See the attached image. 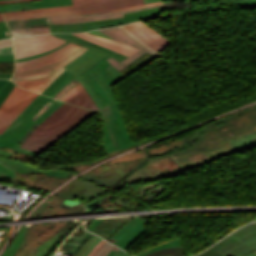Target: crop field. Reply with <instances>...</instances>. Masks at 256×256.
I'll use <instances>...</instances> for the list:
<instances>
[{
  "instance_id": "1",
  "label": "crop field",
  "mask_w": 256,
  "mask_h": 256,
  "mask_svg": "<svg viewBox=\"0 0 256 256\" xmlns=\"http://www.w3.org/2000/svg\"><path fill=\"white\" fill-rule=\"evenodd\" d=\"M87 48L69 43L61 49L34 60L16 62V72L13 78L35 79L50 76L46 79L19 81L17 85L41 93L65 69L69 62L79 57Z\"/></svg>"
},
{
  "instance_id": "2",
  "label": "crop field",
  "mask_w": 256,
  "mask_h": 256,
  "mask_svg": "<svg viewBox=\"0 0 256 256\" xmlns=\"http://www.w3.org/2000/svg\"><path fill=\"white\" fill-rule=\"evenodd\" d=\"M93 113L64 103L35 129L21 147L41 152Z\"/></svg>"
},
{
  "instance_id": "3",
  "label": "crop field",
  "mask_w": 256,
  "mask_h": 256,
  "mask_svg": "<svg viewBox=\"0 0 256 256\" xmlns=\"http://www.w3.org/2000/svg\"><path fill=\"white\" fill-rule=\"evenodd\" d=\"M198 256H256V224H250L231 234Z\"/></svg>"
},
{
  "instance_id": "4",
  "label": "crop field",
  "mask_w": 256,
  "mask_h": 256,
  "mask_svg": "<svg viewBox=\"0 0 256 256\" xmlns=\"http://www.w3.org/2000/svg\"><path fill=\"white\" fill-rule=\"evenodd\" d=\"M72 1L74 5H71V6L34 9V10H27V11L3 13V14L32 13V12L67 10V9H75L77 14H82V13H93V12L117 11V10L144 7L149 5L163 4L162 2H158V3L144 5L143 0H72Z\"/></svg>"
},
{
  "instance_id": "5",
  "label": "crop field",
  "mask_w": 256,
  "mask_h": 256,
  "mask_svg": "<svg viewBox=\"0 0 256 256\" xmlns=\"http://www.w3.org/2000/svg\"><path fill=\"white\" fill-rule=\"evenodd\" d=\"M108 56L102 58L100 61L92 65L90 68H88L85 72H83L81 75L77 77V79L81 77H85L87 82L90 84V86L93 88L95 93L98 95V97L101 99V101L105 104L110 102V99L108 98L107 94L104 92V90L101 88V86L98 84V82L95 80V78L91 75L89 72L93 68L97 67L99 71L102 73V75L105 77V79L108 81L109 84L113 85L114 83L124 79L126 76L119 73L118 70L113 68L109 62L106 60ZM74 77L72 74L66 75L64 78H62L47 94V96L53 97L56 93H58L67 83H69Z\"/></svg>"
},
{
  "instance_id": "6",
  "label": "crop field",
  "mask_w": 256,
  "mask_h": 256,
  "mask_svg": "<svg viewBox=\"0 0 256 256\" xmlns=\"http://www.w3.org/2000/svg\"><path fill=\"white\" fill-rule=\"evenodd\" d=\"M163 7L146 9L131 13H126L125 18L105 20L97 22L88 23H77V24H64V25H50L51 33H61V32H82L88 30H94L105 27H113L123 25L128 22L137 21L145 18L159 16Z\"/></svg>"
},
{
  "instance_id": "7",
  "label": "crop field",
  "mask_w": 256,
  "mask_h": 256,
  "mask_svg": "<svg viewBox=\"0 0 256 256\" xmlns=\"http://www.w3.org/2000/svg\"><path fill=\"white\" fill-rule=\"evenodd\" d=\"M36 95L37 93L15 86L0 106V135Z\"/></svg>"
},
{
  "instance_id": "8",
  "label": "crop field",
  "mask_w": 256,
  "mask_h": 256,
  "mask_svg": "<svg viewBox=\"0 0 256 256\" xmlns=\"http://www.w3.org/2000/svg\"><path fill=\"white\" fill-rule=\"evenodd\" d=\"M179 171L182 170L172 158L158 162H150L147 160L139 168L127 176L122 182H120L116 188L135 182L162 177L164 175ZM159 172H161V174H159Z\"/></svg>"
},
{
  "instance_id": "9",
  "label": "crop field",
  "mask_w": 256,
  "mask_h": 256,
  "mask_svg": "<svg viewBox=\"0 0 256 256\" xmlns=\"http://www.w3.org/2000/svg\"><path fill=\"white\" fill-rule=\"evenodd\" d=\"M101 111L110 136L118 151L136 145L128 133L127 126L120 112H116L113 101L102 108Z\"/></svg>"
},
{
  "instance_id": "10",
  "label": "crop field",
  "mask_w": 256,
  "mask_h": 256,
  "mask_svg": "<svg viewBox=\"0 0 256 256\" xmlns=\"http://www.w3.org/2000/svg\"><path fill=\"white\" fill-rule=\"evenodd\" d=\"M142 161H144V158L124 164L103 165L83 177L86 178L85 180L93 181L99 186L112 188L123 176L130 173Z\"/></svg>"
},
{
  "instance_id": "11",
  "label": "crop field",
  "mask_w": 256,
  "mask_h": 256,
  "mask_svg": "<svg viewBox=\"0 0 256 256\" xmlns=\"http://www.w3.org/2000/svg\"><path fill=\"white\" fill-rule=\"evenodd\" d=\"M66 41L51 35H40L31 37L14 38L15 57H27L43 53L52 48L60 46Z\"/></svg>"
},
{
  "instance_id": "12",
  "label": "crop field",
  "mask_w": 256,
  "mask_h": 256,
  "mask_svg": "<svg viewBox=\"0 0 256 256\" xmlns=\"http://www.w3.org/2000/svg\"><path fill=\"white\" fill-rule=\"evenodd\" d=\"M57 37L67 39L69 41H72L74 43H77L79 45L85 46L90 48L88 51H86L83 55H81L76 60L72 61L70 64H68L66 67H64L66 70H68L70 73H72L74 76H78L83 71H85L88 67H90L92 64L100 60L102 57L109 55L117 59L118 61H123L124 59L119 58L115 55H112L110 53L104 52L102 50H99L97 48L91 47L89 45L83 44L81 42H78L64 34H53Z\"/></svg>"
},
{
  "instance_id": "13",
  "label": "crop field",
  "mask_w": 256,
  "mask_h": 256,
  "mask_svg": "<svg viewBox=\"0 0 256 256\" xmlns=\"http://www.w3.org/2000/svg\"><path fill=\"white\" fill-rule=\"evenodd\" d=\"M100 31H102L103 33H105L106 35L110 36L111 38H113L116 41H119V42H122V43H126V44L132 45V46L140 49L139 51H137L136 53L132 54L125 61H123L121 63L118 62L117 60L111 58V57L109 59H107L110 62V64L113 67H115L116 69H118L119 71L124 69L130 63L136 61L137 59H139L140 57H142L146 53L151 55V56H153V57H156V58L160 57V56L155 55L154 53H152L148 49H146L144 46H142L140 43H138L132 37L127 35L119 27H117V28H110V29H100Z\"/></svg>"
},
{
  "instance_id": "14",
  "label": "crop field",
  "mask_w": 256,
  "mask_h": 256,
  "mask_svg": "<svg viewBox=\"0 0 256 256\" xmlns=\"http://www.w3.org/2000/svg\"><path fill=\"white\" fill-rule=\"evenodd\" d=\"M108 190L109 188L99 187L98 185L90 181L74 180L61 188L59 191H57L55 195L64 198L84 199L90 201L96 196Z\"/></svg>"
},
{
  "instance_id": "15",
  "label": "crop field",
  "mask_w": 256,
  "mask_h": 256,
  "mask_svg": "<svg viewBox=\"0 0 256 256\" xmlns=\"http://www.w3.org/2000/svg\"><path fill=\"white\" fill-rule=\"evenodd\" d=\"M144 223L139 217H135L120 228L108 241L125 250L145 233Z\"/></svg>"
},
{
  "instance_id": "16",
  "label": "crop field",
  "mask_w": 256,
  "mask_h": 256,
  "mask_svg": "<svg viewBox=\"0 0 256 256\" xmlns=\"http://www.w3.org/2000/svg\"><path fill=\"white\" fill-rule=\"evenodd\" d=\"M158 6H163V5H158ZM158 6H150L145 8L131 9L126 11H118V12L83 14V15H74V16H65V17H49V20H50V24H63V23H77V22H88V21L121 18V17H124L123 13H126V12L158 7Z\"/></svg>"
},
{
  "instance_id": "17",
  "label": "crop field",
  "mask_w": 256,
  "mask_h": 256,
  "mask_svg": "<svg viewBox=\"0 0 256 256\" xmlns=\"http://www.w3.org/2000/svg\"><path fill=\"white\" fill-rule=\"evenodd\" d=\"M42 97V95L38 94L36 98L19 114L13 123L0 136V149L6 147L20 132V130L30 121V119L25 117L31 112V110L36 106Z\"/></svg>"
},
{
  "instance_id": "18",
  "label": "crop field",
  "mask_w": 256,
  "mask_h": 256,
  "mask_svg": "<svg viewBox=\"0 0 256 256\" xmlns=\"http://www.w3.org/2000/svg\"><path fill=\"white\" fill-rule=\"evenodd\" d=\"M231 144L230 146H233V148L225 153H214V154H205L204 159L200 162V163H195V164H188L185 161V158L181 159V158H177L176 160L183 166V168L188 169V168H192L194 166L200 165L202 163H205L209 160L215 159L217 157L223 156L225 154H228L236 149L248 146V145H252L254 143H256V132L253 133H249L240 137H237L233 140L230 141ZM229 147V146H228ZM227 148V147H226ZM225 149V148H224Z\"/></svg>"
},
{
  "instance_id": "19",
  "label": "crop field",
  "mask_w": 256,
  "mask_h": 256,
  "mask_svg": "<svg viewBox=\"0 0 256 256\" xmlns=\"http://www.w3.org/2000/svg\"><path fill=\"white\" fill-rule=\"evenodd\" d=\"M60 100L67 101L78 106L99 110L80 82L64 94Z\"/></svg>"
},
{
  "instance_id": "20",
  "label": "crop field",
  "mask_w": 256,
  "mask_h": 256,
  "mask_svg": "<svg viewBox=\"0 0 256 256\" xmlns=\"http://www.w3.org/2000/svg\"><path fill=\"white\" fill-rule=\"evenodd\" d=\"M75 36H78L80 38L86 39L88 41L94 42L96 44L105 46L107 48L113 49L115 51H118L122 54H125L127 56L131 55L132 53L136 52L138 49H135L129 45H125L122 43H118L103 37H99V36H95V35H91L87 32H83V33H78V34H73ZM112 50V51H113Z\"/></svg>"
},
{
  "instance_id": "21",
  "label": "crop field",
  "mask_w": 256,
  "mask_h": 256,
  "mask_svg": "<svg viewBox=\"0 0 256 256\" xmlns=\"http://www.w3.org/2000/svg\"><path fill=\"white\" fill-rule=\"evenodd\" d=\"M0 161L6 164L7 166L14 169V171L20 172V173H31V172H39L41 174H44L46 177H56L58 179H66L70 178V174L66 172H60V171H41L37 168L25 165L22 162L1 158Z\"/></svg>"
},
{
  "instance_id": "22",
  "label": "crop field",
  "mask_w": 256,
  "mask_h": 256,
  "mask_svg": "<svg viewBox=\"0 0 256 256\" xmlns=\"http://www.w3.org/2000/svg\"><path fill=\"white\" fill-rule=\"evenodd\" d=\"M133 217L128 218H112L103 219L92 232L100 235L104 239L108 240L120 227L126 222L131 220Z\"/></svg>"
},
{
  "instance_id": "23",
  "label": "crop field",
  "mask_w": 256,
  "mask_h": 256,
  "mask_svg": "<svg viewBox=\"0 0 256 256\" xmlns=\"http://www.w3.org/2000/svg\"><path fill=\"white\" fill-rule=\"evenodd\" d=\"M131 27H133L138 33H140L143 37L154 43L159 48L163 49L166 46H168L170 43L169 40H167L165 37L160 35L158 32H156L154 29H152L150 26H148L143 21L130 24Z\"/></svg>"
},
{
  "instance_id": "24",
  "label": "crop field",
  "mask_w": 256,
  "mask_h": 256,
  "mask_svg": "<svg viewBox=\"0 0 256 256\" xmlns=\"http://www.w3.org/2000/svg\"><path fill=\"white\" fill-rule=\"evenodd\" d=\"M31 226H25L19 230L2 256H14L20 250V248L26 244L28 230Z\"/></svg>"
},
{
  "instance_id": "25",
  "label": "crop field",
  "mask_w": 256,
  "mask_h": 256,
  "mask_svg": "<svg viewBox=\"0 0 256 256\" xmlns=\"http://www.w3.org/2000/svg\"><path fill=\"white\" fill-rule=\"evenodd\" d=\"M6 22L10 29L49 25L48 17L22 19V20H14V21H6Z\"/></svg>"
},
{
  "instance_id": "26",
  "label": "crop field",
  "mask_w": 256,
  "mask_h": 256,
  "mask_svg": "<svg viewBox=\"0 0 256 256\" xmlns=\"http://www.w3.org/2000/svg\"><path fill=\"white\" fill-rule=\"evenodd\" d=\"M76 14L74 10L68 11H54V12H43V13H33V14H13L4 15L6 20L31 18V17H47V16H64V15H74Z\"/></svg>"
},
{
  "instance_id": "27",
  "label": "crop field",
  "mask_w": 256,
  "mask_h": 256,
  "mask_svg": "<svg viewBox=\"0 0 256 256\" xmlns=\"http://www.w3.org/2000/svg\"><path fill=\"white\" fill-rule=\"evenodd\" d=\"M31 121L21 130V132L12 140V142L7 147L12 148V149H14V150H16L18 152L24 153V154H30V155H34V156L39 154L37 152H33V151H30V150H27V149L19 148L20 145L17 144L20 141V139L26 134V132L34 124Z\"/></svg>"
},
{
  "instance_id": "28",
  "label": "crop field",
  "mask_w": 256,
  "mask_h": 256,
  "mask_svg": "<svg viewBox=\"0 0 256 256\" xmlns=\"http://www.w3.org/2000/svg\"><path fill=\"white\" fill-rule=\"evenodd\" d=\"M43 3L44 5H40V6L3 9V10H0V12L27 10V9L44 8V7H56V6H65V5L72 4L71 0H43Z\"/></svg>"
},
{
  "instance_id": "29",
  "label": "crop field",
  "mask_w": 256,
  "mask_h": 256,
  "mask_svg": "<svg viewBox=\"0 0 256 256\" xmlns=\"http://www.w3.org/2000/svg\"><path fill=\"white\" fill-rule=\"evenodd\" d=\"M98 113L101 116L102 126H103V130H104V141H105V143L100 145V146L102 147L105 154L109 155V154H112V153L116 152L117 150H116V148H115V146H114V144H113V142H112V140L109 136V133L107 131L106 125H105L103 117L101 115V112L98 111Z\"/></svg>"
},
{
  "instance_id": "30",
  "label": "crop field",
  "mask_w": 256,
  "mask_h": 256,
  "mask_svg": "<svg viewBox=\"0 0 256 256\" xmlns=\"http://www.w3.org/2000/svg\"><path fill=\"white\" fill-rule=\"evenodd\" d=\"M92 75L96 78V80L100 83V85L103 87V89L106 91L108 96L110 97L111 101L113 100L116 106V110L119 111L118 105L114 99L111 86L106 82V80L103 78V76L100 74V72L96 69L90 71Z\"/></svg>"
},
{
  "instance_id": "31",
  "label": "crop field",
  "mask_w": 256,
  "mask_h": 256,
  "mask_svg": "<svg viewBox=\"0 0 256 256\" xmlns=\"http://www.w3.org/2000/svg\"><path fill=\"white\" fill-rule=\"evenodd\" d=\"M10 31L13 37L20 36V35H29V34L50 33L49 26L27 28V29H16V30H10Z\"/></svg>"
},
{
  "instance_id": "32",
  "label": "crop field",
  "mask_w": 256,
  "mask_h": 256,
  "mask_svg": "<svg viewBox=\"0 0 256 256\" xmlns=\"http://www.w3.org/2000/svg\"><path fill=\"white\" fill-rule=\"evenodd\" d=\"M146 256H185L183 247L164 249Z\"/></svg>"
},
{
  "instance_id": "33",
  "label": "crop field",
  "mask_w": 256,
  "mask_h": 256,
  "mask_svg": "<svg viewBox=\"0 0 256 256\" xmlns=\"http://www.w3.org/2000/svg\"><path fill=\"white\" fill-rule=\"evenodd\" d=\"M178 246H182L181 242L179 241V239H176L174 241H170V242H167V243H163V244H160V245H157V246H154L146 251H143L135 256H144L148 253H151L153 251H156V250H159V249H164V248H170V247H178Z\"/></svg>"
},
{
  "instance_id": "34",
  "label": "crop field",
  "mask_w": 256,
  "mask_h": 256,
  "mask_svg": "<svg viewBox=\"0 0 256 256\" xmlns=\"http://www.w3.org/2000/svg\"><path fill=\"white\" fill-rule=\"evenodd\" d=\"M15 172L10 168L0 163V181L11 183L14 178Z\"/></svg>"
},
{
  "instance_id": "35",
  "label": "crop field",
  "mask_w": 256,
  "mask_h": 256,
  "mask_svg": "<svg viewBox=\"0 0 256 256\" xmlns=\"http://www.w3.org/2000/svg\"><path fill=\"white\" fill-rule=\"evenodd\" d=\"M63 233L59 232L54 238L50 239L49 241L43 243L38 247V253L36 256H43L48 249L54 244V242L62 235Z\"/></svg>"
},
{
  "instance_id": "36",
  "label": "crop field",
  "mask_w": 256,
  "mask_h": 256,
  "mask_svg": "<svg viewBox=\"0 0 256 256\" xmlns=\"http://www.w3.org/2000/svg\"><path fill=\"white\" fill-rule=\"evenodd\" d=\"M79 81L83 84L86 91L89 93V95L92 97V99L96 102V104L99 106V108L103 107V103L100 101V99L97 97V95L94 93V91L91 89V87L86 82L85 78L79 79Z\"/></svg>"
},
{
  "instance_id": "37",
  "label": "crop field",
  "mask_w": 256,
  "mask_h": 256,
  "mask_svg": "<svg viewBox=\"0 0 256 256\" xmlns=\"http://www.w3.org/2000/svg\"><path fill=\"white\" fill-rule=\"evenodd\" d=\"M66 35H68V36H70V37H72V38H74V39H76V40H78V41H81V42H83V43L92 45V46L97 47V48H100V49H102V50H104V51H107V52H110V53H112V54H115V55H117V56H119V57H122V58H124V59L127 58V56H125V55H122V54H120V53H118V52H115V51H112V50H110V49H107V48H105V47L96 45V44H94V43L88 42V41H86V40L80 39V38L75 37V36H73V35H71V34H66Z\"/></svg>"
},
{
  "instance_id": "38",
  "label": "crop field",
  "mask_w": 256,
  "mask_h": 256,
  "mask_svg": "<svg viewBox=\"0 0 256 256\" xmlns=\"http://www.w3.org/2000/svg\"><path fill=\"white\" fill-rule=\"evenodd\" d=\"M50 100V98L43 97L42 100L37 104V106L32 110V112L27 116V118L32 119Z\"/></svg>"
},
{
  "instance_id": "39",
  "label": "crop field",
  "mask_w": 256,
  "mask_h": 256,
  "mask_svg": "<svg viewBox=\"0 0 256 256\" xmlns=\"http://www.w3.org/2000/svg\"><path fill=\"white\" fill-rule=\"evenodd\" d=\"M99 237L97 235H93L89 241L82 247V249L78 252V254L76 256H83L88 250L89 248L95 243V241L98 239Z\"/></svg>"
},
{
  "instance_id": "40",
  "label": "crop field",
  "mask_w": 256,
  "mask_h": 256,
  "mask_svg": "<svg viewBox=\"0 0 256 256\" xmlns=\"http://www.w3.org/2000/svg\"><path fill=\"white\" fill-rule=\"evenodd\" d=\"M62 104L63 103L59 101L54 103L36 122L40 124L44 119H46L53 111H55Z\"/></svg>"
},
{
  "instance_id": "41",
  "label": "crop field",
  "mask_w": 256,
  "mask_h": 256,
  "mask_svg": "<svg viewBox=\"0 0 256 256\" xmlns=\"http://www.w3.org/2000/svg\"><path fill=\"white\" fill-rule=\"evenodd\" d=\"M51 203L52 201L43 202L41 206L37 210H35L28 219H35L36 217H38V215L42 213L46 208H48Z\"/></svg>"
},
{
  "instance_id": "42",
  "label": "crop field",
  "mask_w": 256,
  "mask_h": 256,
  "mask_svg": "<svg viewBox=\"0 0 256 256\" xmlns=\"http://www.w3.org/2000/svg\"><path fill=\"white\" fill-rule=\"evenodd\" d=\"M14 86H15V84H13L11 81H9V83L6 85V87L0 93V105L5 100V98L10 93V91L13 89Z\"/></svg>"
},
{
  "instance_id": "43",
  "label": "crop field",
  "mask_w": 256,
  "mask_h": 256,
  "mask_svg": "<svg viewBox=\"0 0 256 256\" xmlns=\"http://www.w3.org/2000/svg\"><path fill=\"white\" fill-rule=\"evenodd\" d=\"M126 27L129 29L130 32H132L137 38L141 39L142 41H144L145 43H147L148 45H150L151 47H153L155 50H157L158 52L161 51V49H159L158 47H156L154 44H152L151 42H149L148 40H146L145 38H143L140 34H138L133 28H131L129 25H126Z\"/></svg>"
},
{
  "instance_id": "44",
  "label": "crop field",
  "mask_w": 256,
  "mask_h": 256,
  "mask_svg": "<svg viewBox=\"0 0 256 256\" xmlns=\"http://www.w3.org/2000/svg\"><path fill=\"white\" fill-rule=\"evenodd\" d=\"M7 37H11L10 32L5 25V22L4 21L0 22V39L7 38Z\"/></svg>"
},
{
  "instance_id": "45",
  "label": "crop field",
  "mask_w": 256,
  "mask_h": 256,
  "mask_svg": "<svg viewBox=\"0 0 256 256\" xmlns=\"http://www.w3.org/2000/svg\"><path fill=\"white\" fill-rule=\"evenodd\" d=\"M113 246L114 245L106 242L105 245L100 249V251L95 256H105Z\"/></svg>"
},
{
  "instance_id": "46",
  "label": "crop field",
  "mask_w": 256,
  "mask_h": 256,
  "mask_svg": "<svg viewBox=\"0 0 256 256\" xmlns=\"http://www.w3.org/2000/svg\"><path fill=\"white\" fill-rule=\"evenodd\" d=\"M106 256H130L124 251L116 248L115 246L111 249V251Z\"/></svg>"
},
{
  "instance_id": "47",
  "label": "crop field",
  "mask_w": 256,
  "mask_h": 256,
  "mask_svg": "<svg viewBox=\"0 0 256 256\" xmlns=\"http://www.w3.org/2000/svg\"><path fill=\"white\" fill-rule=\"evenodd\" d=\"M67 73H69V72H67L66 70L56 79V80H54L41 94H44V95H46L49 91H50V89L63 77V76H65Z\"/></svg>"
},
{
  "instance_id": "48",
  "label": "crop field",
  "mask_w": 256,
  "mask_h": 256,
  "mask_svg": "<svg viewBox=\"0 0 256 256\" xmlns=\"http://www.w3.org/2000/svg\"><path fill=\"white\" fill-rule=\"evenodd\" d=\"M235 2L239 6L256 5V0H239Z\"/></svg>"
},
{
  "instance_id": "49",
  "label": "crop field",
  "mask_w": 256,
  "mask_h": 256,
  "mask_svg": "<svg viewBox=\"0 0 256 256\" xmlns=\"http://www.w3.org/2000/svg\"><path fill=\"white\" fill-rule=\"evenodd\" d=\"M67 43H69V42H67ZM67 43H65V44H67ZM65 44L61 45L60 47L64 46ZM60 47H58V48H60ZM58 48L53 49V50L48 51V52H45V53H43V54H39V55L27 57V58L17 59L16 61H24V60H28V59H34V58H37V57H39V56H44V55H46V54H48V53H50V52H53V51L57 50Z\"/></svg>"
},
{
  "instance_id": "50",
  "label": "crop field",
  "mask_w": 256,
  "mask_h": 256,
  "mask_svg": "<svg viewBox=\"0 0 256 256\" xmlns=\"http://www.w3.org/2000/svg\"><path fill=\"white\" fill-rule=\"evenodd\" d=\"M40 4H43V3L42 2H38V3H28V4H19V5L0 6V9L11 8V7L33 6V5H40Z\"/></svg>"
},
{
  "instance_id": "51",
  "label": "crop field",
  "mask_w": 256,
  "mask_h": 256,
  "mask_svg": "<svg viewBox=\"0 0 256 256\" xmlns=\"http://www.w3.org/2000/svg\"><path fill=\"white\" fill-rule=\"evenodd\" d=\"M13 54V46L0 48V55Z\"/></svg>"
},
{
  "instance_id": "52",
  "label": "crop field",
  "mask_w": 256,
  "mask_h": 256,
  "mask_svg": "<svg viewBox=\"0 0 256 256\" xmlns=\"http://www.w3.org/2000/svg\"><path fill=\"white\" fill-rule=\"evenodd\" d=\"M0 62H14L13 55L0 56Z\"/></svg>"
},
{
  "instance_id": "53",
  "label": "crop field",
  "mask_w": 256,
  "mask_h": 256,
  "mask_svg": "<svg viewBox=\"0 0 256 256\" xmlns=\"http://www.w3.org/2000/svg\"><path fill=\"white\" fill-rule=\"evenodd\" d=\"M122 29H124L128 34H130L134 39H136L137 41H139L140 43L144 44L145 46H147L149 49H151L153 52L159 54L157 51H155L154 49H152L150 46H148L147 44H145L144 42H142L141 40L137 39L133 34H131L127 28L125 26H122Z\"/></svg>"
},
{
  "instance_id": "54",
  "label": "crop field",
  "mask_w": 256,
  "mask_h": 256,
  "mask_svg": "<svg viewBox=\"0 0 256 256\" xmlns=\"http://www.w3.org/2000/svg\"><path fill=\"white\" fill-rule=\"evenodd\" d=\"M10 45H13L12 39H7V40H1L0 41V47L10 46Z\"/></svg>"
},
{
  "instance_id": "55",
  "label": "crop field",
  "mask_w": 256,
  "mask_h": 256,
  "mask_svg": "<svg viewBox=\"0 0 256 256\" xmlns=\"http://www.w3.org/2000/svg\"><path fill=\"white\" fill-rule=\"evenodd\" d=\"M8 80H3L0 79V92L2 91V89L5 87V85L7 84Z\"/></svg>"
},
{
  "instance_id": "56",
  "label": "crop field",
  "mask_w": 256,
  "mask_h": 256,
  "mask_svg": "<svg viewBox=\"0 0 256 256\" xmlns=\"http://www.w3.org/2000/svg\"><path fill=\"white\" fill-rule=\"evenodd\" d=\"M102 219H97L96 221L93 222V224L88 228V230H92Z\"/></svg>"
},
{
  "instance_id": "57",
  "label": "crop field",
  "mask_w": 256,
  "mask_h": 256,
  "mask_svg": "<svg viewBox=\"0 0 256 256\" xmlns=\"http://www.w3.org/2000/svg\"><path fill=\"white\" fill-rule=\"evenodd\" d=\"M21 1H30V0H6V1H0V3L21 2Z\"/></svg>"
},
{
  "instance_id": "58",
  "label": "crop field",
  "mask_w": 256,
  "mask_h": 256,
  "mask_svg": "<svg viewBox=\"0 0 256 256\" xmlns=\"http://www.w3.org/2000/svg\"><path fill=\"white\" fill-rule=\"evenodd\" d=\"M101 240H103V239H98L97 241H96V243L91 247V249L84 255V256H88L89 255V253H90V251L101 241Z\"/></svg>"
},
{
  "instance_id": "59",
  "label": "crop field",
  "mask_w": 256,
  "mask_h": 256,
  "mask_svg": "<svg viewBox=\"0 0 256 256\" xmlns=\"http://www.w3.org/2000/svg\"><path fill=\"white\" fill-rule=\"evenodd\" d=\"M12 75L10 74H3V73H0V78H11Z\"/></svg>"
},
{
  "instance_id": "60",
  "label": "crop field",
  "mask_w": 256,
  "mask_h": 256,
  "mask_svg": "<svg viewBox=\"0 0 256 256\" xmlns=\"http://www.w3.org/2000/svg\"><path fill=\"white\" fill-rule=\"evenodd\" d=\"M145 4L147 3H152V2H157V1H162V0H144Z\"/></svg>"
},
{
  "instance_id": "61",
  "label": "crop field",
  "mask_w": 256,
  "mask_h": 256,
  "mask_svg": "<svg viewBox=\"0 0 256 256\" xmlns=\"http://www.w3.org/2000/svg\"><path fill=\"white\" fill-rule=\"evenodd\" d=\"M4 20L3 17H2V14H0V21Z\"/></svg>"
},
{
  "instance_id": "62",
  "label": "crop field",
  "mask_w": 256,
  "mask_h": 256,
  "mask_svg": "<svg viewBox=\"0 0 256 256\" xmlns=\"http://www.w3.org/2000/svg\"><path fill=\"white\" fill-rule=\"evenodd\" d=\"M256 108V106H254Z\"/></svg>"
}]
</instances>
